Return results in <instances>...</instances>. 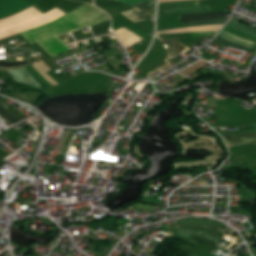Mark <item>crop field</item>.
Returning a JSON list of instances; mask_svg holds the SVG:
<instances>
[{
    "label": "crop field",
    "instance_id": "20",
    "mask_svg": "<svg viewBox=\"0 0 256 256\" xmlns=\"http://www.w3.org/2000/svg\"><path fill=\"white\" fill-rule=\"evenodd\" d=\"M0 201H1V193H0Z\"/></svg>",
    "mask_w": 256,
    "mask_h": 256
},
{
    "label": "crop field",
    "instance_id": "5",
    "mask_svg": "<svg viewBox=\"0 0 256 256\" xmlns=\"http://www.w3.org/2000/svg\"><path fill=\"white\" fill-rule=\"evenodd\" d=\"M10 75L18 82L30 84L37 88H43L40 83L25 69H17L8 71Z\"/></svg>",
    "mask_w": 256,
    "mask_h": 256
},
{
    "label": "crop field",
    "instance_id": "4",
    "mask_svg": "<svg viewBox=\"0 0 256 256\" xmlns=\"http://www.w3.org/2000/svg\"><path fill=\"white\" fill-rule=\"evenodd\" d=\"M155 1L142 2L136 5H132L137 9L122 12L124 16L136 23L141 20L149 19L154 17Z\"/></svg>",
    "mask_w": 256,
    "mask_h": 256
},
{
    "label": "crop field",
    "instance_id": "7",
    "mask_svg": "<svg viewBox=\"0 0 256 256\" xmlns=\"http://www.w3.org/2000/svg\"><path fill=\"white\" fill-rule=\"evenodd\" d=\"M227 146L245 142L256 141V132L248 134L222 135Z\"/></svg>",
    "mask_w": 256,
    "mask_h": 256
},
{
    "label": "crop field",
    "instance_id": "21",
    "mask_svg": "<svg viewBox=\"0 0 256 256\" xmlns=\"http://www.w3.org/2000/svg\"><path fill=\"white\" fill-rule=\"evenodd\" d=\"M200 256V255H199Z\"/></svg>",
    "mask_w": 256,
    "mask_h": 256
},
{
    "label": "crop field",
    "instance_id": "3",
    "mask_svg": "<svg viewBox=\"0 0 256 256\" xmlns=\"http://www.w3.org/2000/svg\"><path fill=\"white\" fill-rule=\"evenodd\" d=\"M209 12V7H199L198 0L159 4L158 16Z\"/></svg>",
    "mask_w": 256,
    "mask_h": 256
},
{
    "label": "crop field",
    "instance_id": "6",
    "mask_svg": "<svg viewBox=\"0 0 256 256\" xmlns=\"http://www.w3.org/2000/svg\"><path fill=\"white\" fill-rule=\"evenodd\" d=\"M232 11L229 12H214V13H204V14H194V15H184L180 16L181 22H191V21H201V20H212L219 19L221 15L231 14Z\"/></svg>",
    "mask_w": 256,
    "mask_h": 256
},
{
    "label": "crop field",
    "instance_id": "9",
    "mask_svg": "<svg viewBox=\"0 0 256 256\" xmlns=\"http://www.w3.org/2000/svg\"><path fill=\"white\" fill-rule=\"evenodd\" d=\"M47 81H49L53 86L58 83L50 78L46 72L52 70L48 65H46L43 61L37 62L32 65Z\"/></svg>",
    "mask_w": 256,
    "mask_h": 256
},
{
    "label": "crop field",
    "instance_id": "11",
    "mask_svg": "<svg viewBox=\"0 0 256 256\" xmlns=\"http://www.w3.org/2000/svg\"><path fill=\"white\" fill-rule=\"evenodd\" d=\"M224 30L242 38V39H245V40H248V41H252V42H255L256 43V36H252V35H249L247 33H244L242 31H239L235 28H232L228 25L225 26Z\"/></svg>",
    "mask_w": 256,
    "mask_h": 256
},
{
    "label": "crop field",
    "instance_id": "15",
    "mask_svg": "<svg viewBox=\"0 0 256 256\" xmlns=\"http://www.w3.org/2000/svg\"><path fill=\"white\" fill-rule=\"evenodd\" d=\"M227 19L221 20H213V21H202V22H194V23H186L188 27L191 26H199V25H207V24H223Z\"/></svg>",
    "mask_w": 256,
    "mask_h": 256
},
{
    "label": "crop field",
    "instance_id": "16",
    "mask_svg": "<svg viewBox=\"0 0 256 256\" xmlns=\"http://www.w3.org/2000/svg\"><path fill=\"white\" fill-rule=\"evenodd\" d=\"M70 134L71 133H69L67 131L63 134V136H62V138L59 142L58 153L62 154L63 149H64L65 144H66V141H67L68 137L70 136Z\"/></svg>",
    "mask_w": 256,
    "mask_h": 256
},
{
    "label": "crop field",
    "instance_id": "1",
    "mask_svg": "<svg viewBox=\"0 0 256 256\" xmlns=\"http://www.w3.org/2000/svg\"><path fill=\"white\" fill-rule=\"evenodd\" d=\"M107 20L110 17L105 12L85 4L50 24L20 34L30 45L38 42L53 57L70 50L57 36Z\"/></svg>",
    "mask_w": 256,
    "mask_h": 256
},
{
    "label": "crop field",
    "instance_id": "8",
    "mask_svg": "<svg viewBox=\"0 0 256 256\" xmlns=\"http://www.w3.org/2000/svg\"><path fill=\"white\" fill-rule=\"evenodd\" d=\"M220 26L221 25H207V26H199V27H192V28H182V29L161 31V32H158L157 35L183 33V32H198V31H217Z\"/></svg>",
    "mask_w": 256,
    "mask_h": 256
},
{
    "label": "crop field",
    "instance_id": "19",
    "mask_svg": "<svg viewBox=\"0 0 256 256\" xmlns=\"http://www.w3.org/2000/svg\"><path fill=\"white\" fill-rule=\"evenodd\" d=\"M172 1H179V0H160L159 3H163V2H172Z\"/></svg>",
    "mask_w": 256,
    "mask_h": 256
},
{
    "label": "crop field",
    "instance_id": "12",
    "mask_svg": "<svg viewBox=\"0 0 256 256\" xmlns=\"http://www.w3.org/2000/svg\"><path fill=\"white\" fill-rule=\"evenodd\" d=\"M215 40L221 42L222 44H224L226 46L247 50V51L252 52V53L254 52V49H250V48H247V47L240 46V45H238L236 43H233V42H231V41H229V40H227L225 38H222V37H220L218 35L216 36Z\"/></svg>",
    "mask_w": 256,
    "mask_h": 256
},
{
    "label": "crop field",
    "instance_id": "17",
    "mask_svg": "<svg viewBox=\"0 0 256 256\" xmlns=\"http://www.w3.org/2000/svg\"><path fill=\"white\" fill-rule=\"evenodd\" d=\"M117 1L125 3V4L132 5V4H136V3H139V2H142V1H147V0H117Z\"/></svg>",
    "mask_w": 256,
    "mask_h": 256
},
{
    "label": "crop field",
    "instance_id": "13",
    "mask_svg": "<svg viewBox=\"0 0 256 256\" xmlns=\"http://www.w3.org/2000/svg\"><path fill=\"white\" fill-rule=\"evenodd\" d=\"M228 25H230V26H232V27H235V28H237V29H239V30H242V31H244V32H247V33H249V34L256 35V30H255V29H252V28L247 27V26H245V25L239 24V23H237V22H235V21H233V20H231V21L228 23Z\"/></svg>",
    "mask_w": 256,
    "mask_h": 256
},
{
    "label": "crop field",
    "instance_id": "14",
    "mask_svg": "<svg viewBox=\"0 0 256 256\" xmlns=\"http://www.w3.org/2000/svg\"><path fill=\"white\" fill-rule=\"evenodd\" d=\"M0 103H2L0 101ZM11 114V113H10ZM1 105H0V115L5 118L6 120H8L10 123L15 124L17 122H20L19 120H17L16 118H14L12 115H10Z\"/></svg>",
    "mask_w": 256,
    "mask_h": 256
},
{
    "label": "crop field",
    "instance_id": "10",
    "mask_svg": "<svg viewBox=\"0 0 256 256\" xmlns=\"http://www.w3.org/2000/svg\"><path fill=\"white\" fill-rule=\"evenodd\" d=\"M219 35H221V36H223V37H225V38H227V39H229V40H231L233 42H236V43H238L240 45L256 49V44L255 43H251V42L242 40L240 38H237V37H235V36L225 32L223 30L219 33Z\"/></svg>",
    "mask_w": 256,
    "mask_h": 256
},
{
    "label": "crop field",
    "instance_id": "2",
    "mask_svg": "<svg viewBox=\"0 0 256 256\" xmlns=\"http://www.w3.org/2000/svg\"><path fill=\"white\" fill-rule=\"evenodd\" d=\"M64 14V12L55 8L43 15L31 7L17 15L0 21V39L10 37L27 29L47 24Z\"/></svg>",
    "mask_w": 256,
    "mask_h": 256
},
{
    "label": "crop field",
    "instance_id": "18",
    "mask_svg": "<svg viewBox=\"0 0 256 256\" xmlns=\"http://www.w3.org/2000/svg\"><path fill=\"white\" fill-rule=\"evenodd\" d=\"M201 254H203V255H205V256H214V255H212V254H209V253H207V252H205V251H201Z\"/></svg>",
    "mask_w": 256,
    "mask_h": 256
}]
</instances>
